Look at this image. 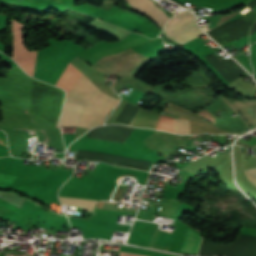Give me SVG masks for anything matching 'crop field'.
<instances>
[{
    "label": "crop field",
    "mask_w": 256,
    "mask_h": 256,
    "mask_svg": "<svg viewBox=\"0 0 256 256\" xmlns=\"http://www.w3.org/2000/svg\"><path fill=\"white\" fill-rule=\"evenodd\" d=\"M57 86L66 90L65 102L86 104L78 124L82 127L92 128L102 124L119 101L103 94L70 63Z\"/></svg>",
    "instance_id": "1"
},
{
    "label": "crop field",
    "mask_w": 256,
    "mask_h": 256,
    "mask_svg": "<svg viewBox=\"0 0 256 256\" xmlns=\"http://www.w3.org/2000/svg\"><path fill=\"white\" fill-rule=\"evenodd\" d=\"M164 33L167 37L180 45L203 34V32L196 27L193 14L188 11L180 12L169 21L164 29Z\"/></svg>",
    "instance_id": "2"
},
{
    "label": "crop field",
    "mask_w": 256,
    "mask_h": 256,
    "mask_svg": "<svg viewBox=\"0 0 256 256\" xmlns=\"http://www.w3.org/2000/svg\"><path fill=\"white\" fill-rule=\"evenodd\" d=\"M131 5L145 13L154 23H156L160 30L164 26L165 22L170 18L161 9L154 5L151 0H127Z\"/></svg>",
    "instance_id": "3"
},
{
    "label": "crop field",
    "mask_w": 256,
    "mask_h": 256,
    "mask_svg": "<svg viewBox=\"0 0 256 256\" xmlns=\"http://www.w3.org/2000/svg\"><path fill=\"white\" fill-rule=\"evenodd\" d=\"M85 105L65 103L61 126H77Z\"/></svg>",
    "instance_id": "4"
},
{
    "label": "crop field",
    "mask_w": 256,
    "mask_h": 256,
    "mask_svg": "<svg viewBox=\"0 0 256 256\" xmlns=\"http://www.w3.org/2000/svg\"><path fill=\"white\" fill-rule=\"evenodd\" d=\"M200 243H201L200 236H198L190 231H187L181 252L197 253Z\"/></svg>",
    "instance_id": "5"
},
{
    "label": "crop field",
    "mask_w": 256,
    "mask_h": 256,
    "mask_svg": "<svg viewBox=\"0 0 256 256\" xmlns=\"http://www.w3.org/2000/svg\"><path fill=\"white\" fill-rule=\"evenodd\" d=\"M60 201L64 204L80 207L88 211H93L96 201L92 200H82V199H73V198H63L60 197Z\"/></svg>",
    "instance_id": "6"
},
{
    "label": "crop field",
    "mask_w": 256,
    "mask_h": 256,
    "mask_svg": "<svg viewBox=\"0 0 256 256\" xmlns=\"http://www.w3.org/2000/svg\"><path fill=\"white\" fill-rule=\"evenodd\" d=\"M157 129H163L174 133L173 119L160 116Z\"/></svg>",
    "instance_id": "7"
},
{
    "label": "crop field",
    "mask_w": 256,
    "mask_h": 256,
    "mask_svg": "<svg viewBox=\"0 0 256 256\" xmlns=\"http://www.w3.org/2000/svg\"><path fill=\"white\" fill-rule=\"evenodd\" d=\"M175 133H190L188 120L175 119Z\"/></svg>",
    "instance_id": "8"
},
{
    "label": "crop field",
    "mask_w": 256,
    "mask_h": 256,
    "mask_svg": "<svg viewBox=\"0 0 256 256\" xmlns=\"http://www.w3.org/2000/svg\"><path fill=\"white\" fill-rule=\"evenodd\" d=\"M255 169H256V168H254V169H249V170H244L246 177L249 176L248 171L255 170ZM249 173H250V176H249L248 178L256 184V170H255V171H251V172H249ZM253 182H252V183H253ZM254 183H253V184H254Z\"/></svg>",
    "instance_id": "9"
},
{
    "label": "crop field",
    "mask_w": 256,
    "mask_h": 256,
    "mask_svg": "<svg viewBox=\"0 0 256 256\" xmlns=\"http://www.w3.org/2000/svg\"><path fill=\"white\" fill-rule=\"evenodd\" d=\"M120 256H139V255H134V254H128V253L120 252Z\"/></svg>",
    "instance_id": "10"
},
{
    "label": "crop field",
    "mask_w": 256,
    "mask_h": 256,
    "mask_svg": "<svg viewBox=\"0 0 256 256\" xmlns=\"http://www.w3.org/2000/svg\"><path fill=\"white\" fill-rule=\"evenodd\" d=\"M55 126L59 127V126H58V121H57V123H56V125H55Z\"/></svg>",
    "instance_id": "11"
}]
</instances>
